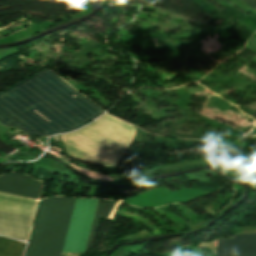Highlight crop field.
Returning <instances> with one entry per match:
<instances>
[{"label": "crop field", "instance_id": "obj_3", "mask_svg": "<svg viewBox=\"0 0 256 256\" xmlns=\"http://www.w3.org/2000/svg\"><path fill=\"white\" fill-rule=\"evenodd\" d=\"M135 128L107 115L61 135L67 154L90 164L113 167L130 144Z\"/></svg>", "mask_w": 256, "mask_h": 256}, {"label": "crop field", "instance_id": "obj_1", "mask_svg": "<svg viewBox=\"0 0 256 256\" xmlns=\"http://www.w3.org/2000/svg\"><path fill=\"white\" fill-rule=\"evenodd\" d=\"M103 112L47 68L0 94V122L30 136L73 130Z\"/></svg>", "mask_w": 256, "mask_h": 256}, {"label": "crop field", "instance_id": "obj_2", "mask_svg": "<svg viewBox=\"0 0 256 256\" xmlns=\"http://www.w3.org/2000/svg\"><path fill=\"white\" fill-rule=\"evenodd\" d=\"M75 198L41 202L27 256H60ZM97 200H75L62 252H83Z\"/></svg>", "mask_w": 256, "mask_h": 256}, {"label": "crop field", "instance_id": "obj_6", "mask_svg": "<svg viewBox=\"0 0 256 256\" xmlns=\"http://www.w3.org/2000/svg\"><path fill=\"white\" fill-rule=\"evenodd\" d=\"M115 201H104V200H99L98 204H97V208L93 217V221H92V225L90 228V232H89V236H88V240L86 243V247H85V251L93 248V244H94V239L97 233V229L99 226V223L101 221L102 218H107L110 210L112 209L113 205H114ZM121 204V201H116L113 209L111 210L108 218L112 219L114 213L116 212L118 206Z\"/></svg>", "mask_w": 256, "mask_h": 256}, {"label": "crop field", "instance_id": "obj_7", "mask_svg": "<svg viewBox=\"0 0 256 256\" xmlns=\"http://www.w3.org/2000/svg\"><path fill=\"white\" fill-rule=\"evenodd\" d=\"M25 244L0 236V256H22Z\"/></svg>", "mask_w": 256, "mask_h": 256}, {"label": "crop field", "instance_id": "obj_8", "mask_svg": "<svg viewBox=\"0 0 256 256\" xmlns=\"http://www.w3.org/2000/svg\"><path fill=\"white\" fill-rule=\"evenodd\" d=\"M245 3H247L251 7L256 8V1L255 0H243Z\"/></svg>", "mask_w": 256, "mask_h": 256}, {"label": "crop field", "instance_id": "obj_4", "mask_svg": "<svg viewBox=\"0 0 256 256\" xmlns=\"http://www.w3.org/2000/svg\"><path fill=\"white\" fill-rule=\"evenodd\" d=\"M42 182L9 173L0 176V191L38 199ZM0 192V209L34 215L36 199ZM0 210V235L27 241L33 217Z\"/></svg>", "mask_w": 256, "mask_h": 256}, {"label": "crop field", "instance_id": "obj_5", "mask_svg": "<svg viewBox=\"0 0 256 256\" xmlns=\"http://www.w3.org/2000/svg\"><path fill=\"white\" fill-rule=\"evenodd\" d=\"M217 256H256V234L236 235L233 240L219 239Z\"/></svg>", "mask_w": 256, "mask_h": 256}]
</instances>
